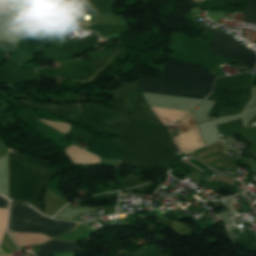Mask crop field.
<instances>
[{"instance_id": "crop-field-10", "label": "crop field", "mask_w": 256, "mask_h": 256, "mask_svg": "<svg viewBox=\"0 0 256 256\" xmlns=\"http://www.w3.org/2000/svg\"><path fill=\"white\" fill-rule=\"evenodd\" d=\"M66 155L74 162L78 164H88V163H99V158L76 147L70 146L65 149Z\"/></svg>"}, {"instance_id": "crop-field-7", "label": "crop field", "mask_w": 256, "mask_h": 256, "mask_svg": "<svg viewBox=\"0 0 256 256\" xmlns=\"http://www.w3.org/2000/svg\"><path fill=\"white\" fill-rule=\"evenodd\" d=\"M83 116L98 126L121 122L123 120L127 122L126 116L114 112L98 103H85Z\"/></svg>"}, {"instance_id": "crop-field-12", "label": "crop field", "mask_w": 256, "mask_h": 256, "mask_svg": "<svg viewBox=\"0 0 256 256\" xmlns=\"http://www.w3.org/2000/svg\"><path fill=\"white\" fill-rule=\"evenodd\" d=\"M256 18V0H250L245 10L242 22L254 24Z\"/></svg>"}, {"instance_id": "crop-field-13", "label": "crop field", "mask_w": 256, "mask_h": 256, "mask_svg": "<svg viewBox=\"0 0 256 256\" xmlns=\"http://www.w3.org/2000/svg\"><path fill=\"white\" fill-rule=\"evenodd\" d=\"M39 120V119H38ZM43 123L63 132L64 134L69 132V125L65 123H58V122H51V121H45V120H40ZM62 133V134H63Z\"/></svg>"}, {"instance_id": "crop-field-6", "label": "crop field", "mask_w": 256, "mask_h": 256, "mask_svg": "<svg viewBox=\"0 0 256 256\" xmlns=\"http://www.w3.org/2000/svg\"><path fill=\"white\" fill-rule=\"evenodd\" d=\"M179 135L174 137L177 146L188 153L191 150L203 147L202 140L195 126L191 112L178 123Z\"/></svg>"}, {"instance_id": "crop-field-3", "label": "crop field", "mask_w": 256, "mask_h": 256, "mask_svg": "<svg viewBox=\"0 0 256 256\" xmlns=\"http://www.w3.org/2000/svg\"><path fill=\"white\" fill-rule=\"evenodd\" d=\"M79 223L54 221L24 205L11 204L8 229L16 232L42 233L52 238L67 234Z\"/></svg>"}, {"instance_id": "crop-field-14", "label": "crop field", "mask_w": 256, "mask_h": 256, "mask_svg": "<svg viewBox=\"0 0 256 256\" xmlns=\"http://www.w3.org/2000/svg\"><path fill=\"white\" fill-rule=\"evenodd\" d=\"M9 201L0 195V208L8 209Z\"/></svg>"}, {"instance_id": "crop-field-9", "label": "crop field", "mask_w": 256, "mask_h": 256, "mask_svg": "<svg viewBox=\"0 0 256 256\" xmlns=\"http://www.w3.org/2000/svg\"><path fill=\"white\" fill-rule=\"evenodd\" d=\"M76 245L77 243L53 240L38 246L42 253L36 254V256H54L52 252L74 253Z\"/></svg>"}, {"instance_id": "crop-field-4", "label": "crop field", "mask_w": 256, "mask_h": 256, "mask_svg": "<svg viewBox=\"0 0 256 256\" xmlns=\"http://www.w3.org/2000/svg\"><path fill=\"white\" fill-rule=\"evenodd\" d=\"M250 86L214 83V90L208 96L218 99L208 113V118H216L233 113L241 100L246 98Z\"/></svg>"}, {"instance_id": "crop-field-5", "label": "crop field", "mask_w": 256, "mask_h": 256, "mask_svg": "<svg viewBox=\"0 0 256 256\" xmlns=\"http://www.w3.org/2000/svg\"><path fill=\"white\" fill-rule=\"evenodd\" d=\"M205 30L215 34L209 51L214 52L224 58L237 59L249 68L253 69L256 64V55L237 42L235 39L218 32L210 27Z\"/></svg>"}, {"instance_id": "crop-field-1", "label": "crop field", "mask_w": 256, "mask_h": 256, "mask_svg": "<svg viewBox=\"0 0 256 256\" xmlns=\"http://www.w3.org/2000/svg\"><path fill=\"white\" fill-rule=\"evenodd\" d=\"M214 78L215 76L202 66L167 61L162 78L140 79L137 85L141 92L205 99L212 90Z\"/></svg>"}, {"instance_id": "crop-field-8", "label": "crop field", "mask_w": 256, "mask_h": 256, "mask_svg": "<svg viewBox=\"0 0 256 256\" xmlns=\"http://www.w3.org/2000/svg\"><path fill=\"white\" fill-rule=\"evenodd\" d=\"M18 101L31 108L45 111L51 114L60 115L66 120L80 115V112H81V104L45 105V104L36 103L32 100L23 99Z\"/></svg>"}, {"instance_id": "crop-field-15", "label": "crop field", "mask_w": 256, "mask_h": 256, "mask_svg": "<svg viewBox=\"0 0 256 256\" xmlns=\"http://www.w3.org/2000/svg\"><path fill=\"white\" fill-rule=\"evenodd\" d=\"M192 1L198 3V2H200V1H202V0H192ZM196 3H195V4H196Z\"/></svg>"}, {"instance_id": "crop-field-11", "label": "crop field", "mask_w": 256, "mask_h": 256, "mask_svg": "<svg viewBox=\"0 0 256 256\" xmlns=\"http://www.w3.org/2000/svg\"><path fill=\"white\" fill-rule=\"evenodd\" d=\"M152 109L156 113V115L159 117L161 122L164 124V126L172 122L180 121L188 113L185 111H176V110H168V109H159V108H152Z\"/></svg>"}, {"instance_id": "crop-field-2", "label": "crop field", "mask_w": 256, "mask_h": 256, "mask_svg": "<svg viewBox=\"0 0 256 256\" xmlns=\"http://www.w3.org/2000/svg\"><path fill=\"white\" fill-rule=\"evenodd\" d=\"M51 168L44 162L9 152L10 199L26 202L41 211V196L51 177Z\"/></svg>"}]
</instances>
